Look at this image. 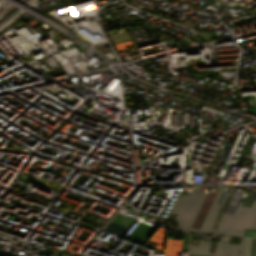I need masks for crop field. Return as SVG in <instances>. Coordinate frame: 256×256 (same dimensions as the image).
<instances>
[{
  "label": "crop field",
  "instance_id": "crop-field-1",
  "mask_svg": "<svg viewBox=\"0 0 256 256\" xmlns=\"http://www.w3.org/2000/svg\"><path fill=\"white\" fill-rule=\"evenodd\" d=\"M204 187L192 189L190 193L183 196L178 195L173 204L170 213L178 215L175 222L178 224L176 229L201 231V232H217L224 234L243 236L244 229H250L256 217V200H254L251 208L241 206L236 216L223 213L217 230H210L214 218L220 207L217 204L224 188H220L210 211L200 230L190 228L206 195L201 194ZM243 213H240V212ZM251 229H256V219Z\"/></svg>",
  "mask_w": 256,
  "mask_h": 256
},
{
  "label": "crop field",
  "instance_id": "crop-field-4",
  "mask_svg": "<svg viewBox=\"0 0 256 256\" xmlns=\"http://www.w3.org/2000/svg\"><path fill=\"white\" fill-rule=\"evenodd\" d=\"M250 249H251V239L249 238V245H248V256H250Z\"/></svg>",
  "mask_w": 256,
  "mask_h": 256
},
{
  "label": "crop field",
  "instance_id": "crop-field-2",
  "mask_svg": "<svg viewBox=\"0 0 256 256\" xmlns=\"http://www.w3.org/2000/svg\"><path fill=\"white\" fill-rule=\"evenodd\" d=\"M230 237H222L217 242L215 253H209L210 241L200 240V246L190 245L188 253L208 254L215 256H245L246 238H242L239 244H229L227 241ZM225 241V243H223ZM223 248V249H222ZM240 251V253H238Z\"/></svg>",
  "mask_w": 256,
  "mask_h": 256
},
{
  "label": "crop field",
  "instance_id": "crop-field-6",
  "mask_svg": "<svg viewBox=\"0 0 256 256\" xmlns=\"http://www.w3.org/2000/svg\"><path fill=\"white\" fill-rule=\"evenodd\" d=\"M255 256H256V246H255Z\"/></svg>",
  "mask_w": 256,
  "mask_h": 256
},
{
  "label": "crop field",
  "instance_id": "crop-field-5",
  "mask_svg": "<svg viewBox=\"0 0 256 256\" xmlns=\"http://www.w3.org/2000/svg\"><path fill=\"white\" fill-rule=\"evenodd\" d=\"M188 256H206V255H193V254H188Z\"/></svg>",
  "mask_w": 256,
  "mask_h": 256
},
{
  "label": "crop field",
  "instance_id": "crop-field-3",
  "mask_svg": "<svg viewBox=\"0 0 256 256\" xmlns=\"http://www.w3.org/2000/svg\"><path fill=\"white\" fill-rule=\"evenodd\" d=\"M232 193H233V191L231 189L229 194H228V196H227V198H226V200H225V202H224V204H223V206H222V208H221V210H220V212H219V214H218V216H217V219H216L215 224H214L212 229H216L217 228V225H218V222L220 220L221 214H222V212H223V210H224V208H225L229 198L231 197Z\"/></svg>",
  "mask_w": 256,
  "mask_h": 256
}]
</instances>
